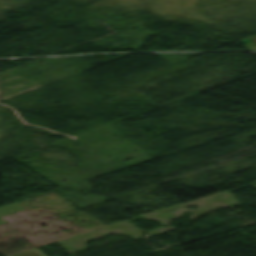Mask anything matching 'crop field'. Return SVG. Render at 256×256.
Listing matches in <instances>:
<instances>
[{
  "label": "crop field",
  "instance_id": "obj_1",
  "mask_svg": "<svg viewBox=\"0 0 256 256\" xmlns=\"http://www.w3.org/2000/svg\"><path fill=\"white\" fill-rule=\"evenodd\" d=\"M18 211H22V209L16 203H14V204H11V205L1 207L0 208V216L15 213V212H18ZM4 222H7V221L0 219V224L4 223Z\"/></svg>",
  "mask_w": 256,
  "mask_h": 256
},
{
  "label": "crop field",
  "instance_id": "obj_2",
  "mask_svg": "<svg viewBox=\"0 0 256 256\" xmlns=\"http://www.w3.org/2000/svg\"><path fill=\"white\" fill-rule=\"evenodd\" d=\"M13 256H45V255L40 253L38 250L34 249V250H30V251L23 252Z\"/></svg>",
  "mask_w": 256,
  "mask_h": 256
}]
</instances>
